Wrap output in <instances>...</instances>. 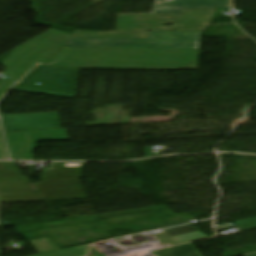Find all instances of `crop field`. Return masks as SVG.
I'll use <instances>...</instances> for the list:
<instances>
[{
  "instance_id": "8a807250",
  "label": "crop field",
  "mask_w": 256,
  "mask_h": 256,
  "mask_svg": "<svg viewBox=\"0 0 256 256\" xmlns=\"http://www.w3.org/2000/svg\"><path fill=\"white\" fill-rule=\"evenodd\" d=\"M199 51L63 48L52 65L72 68L175 69Z\"/></svg>"
},
{
  "instance_id": "ac0d7876",
  "label": "crop field",
  "mask_w": 256,
  "mask_h": 256,
  "mask_svg": "<svg viewBox=\"0 0 256 256\" xmlns=\"http://www.w3.org/2000/svg\"><path fill=\"white\" fill-rule=\"evenodd\" d=\"M216 9L186 10L182 15H118V31L75 30L70 37L146 38L148 30L205 31ZM171 23L172 26H164Z\"/></svg>"
},
{
  "instance_id": "34b2d1b8",
  "label": "crop field",
  "mask_w": 256,
  "mask_h": 256,
  "mask_svg": "<svg viewBox=\"0 0 256 256\" xmlns=\"http://www.w3.org/2000/svg\"><path fill=\"white\" fill-rule=\"evenodd\" d=\"M200 32L149 31L147 39L68 38L63 47L199 50Z\"/></svg>"
},
{
  "instance_id": "412701ff",
  "label": "crop field",
  "mask_w": 256,
  "mask_h": 256,
  "mask_svg": "<svg viewBox=\"0 0 256 256\" xmlns=\"http://www.w3.org/2000/svg\"><path fill=\"white\" fill-rule=\"evenodd\" d=\"M69 35L50 29L15 48L0 63L28 72L38 62L50 63Z\"/></svg>"
},
{
  "instance_id": "f4fd0767",
  "label": "crop field",
  "mask_w": 256,
  "mask_h": 256,
  "mask_svg": "<svg viewBox=\"0 0 256 256\" xmlns=\"http://www.w3.org/2000/svg\"><path fill=\"white\" fill-rule=\"evenodd\" d=\"M77 75L75 69L40 65L13 89L74 98Z\"/></svg>"
},
{
  "instance_id": "dd49c442",
  "label": "crop field",
  "mask_w": 256,
  "mask_h": 256,
  "mask_svg": "<svg viewBox=\"0 0 256 256\" xmlns=\"http://www.w3.org/2000/svg\"><path fill=\"white\" fill-rule=\"evenodd\" d=\"M5 133L12 159L33 160V150L40 140H68L65 129Z\"/></svg>"
},
{
  "instance_id": "e52e79f7",
  "label": "crop field",
  "mask_w": 256,
  "mask_h": 256,
  "mask_svg": "<svg viewBox=\"0 0 256 256\" xmlns=\"http://www.w3.org/2000/svg\"><path fill=\"white\" fill-rule=\"evenodd\" d=\"M5 131L61 128L58 112L1 115Z\"/></svg>"
},
{
  "instance_id": "d8731c3e",
  "label": "crop field",
  "mask_w": 256,
  "mask_h": 256,
  "mask_svg": "<svg viewBox=\"0 0 256 256\" xmlns=\"http://www.w3.org/2000/svg\"><path fill=\"white\" fill-rule=\"evenodd\" d=\"M231 0H168L155 3L152 13H183L190 8H231Z\"/></svg>"
},
{
  "instance_id": "5a996713",
  "label": "crop field",
  "mask_w": 256,
  "mask_h": 256,
  "mask_svg": "<svg viewBox=\"0 0 256 256\" xmlns=\"http://www.w3.org/2000/svg\"><path fill=\"white\" fill-rule=\"evenodd\" d=\"M171 234H173L176 238H178L182 242L208 238L207 236L200 233L199 229L191 227L189 225L180 226L176 228L166 229ZM163 246L178 244L175 240H173L167 233L163 230L152 232L151 233Z\"/></svg>"
},
{
  "instance_id": "3316defc",
  "label": "crop field",
  "mask_w": 256,
  "mask_h": 256,
  "mask_svg": "<svg viewBox=\"0 0 256 256\" xmlns=\"http://www.w3.org/2000/svg\"><path fill=\"white\" fill-rule=\"evenodd\" d=\"M156 256H202L190 243L153 252Z\"/></svg>"
},
{
  "instance_id": "28ad6ade",
  "label": "crop field",
  "mask_w": 256,
  "mask_h": 256,
  "mask_svg": "<svg viewBox=\"0 0 256 256\" xmlns=\"http://www.w3.org/2000/svg\"><path fill=\"white\" fill-rule=\"evenodd\" d=\"M92 244L84 245L80 247L70 248L66 250L41 254L37 256H85Z\"/></svg>"
},
{
  "instance_id": "d1516ede",
  "label": "crop field",
  "mask_w": 256,
  "mask_h": 256,
  "mask_svg": "<svg viewBox=\"0 0 256 256\" xmlns=\"http://www.w3.org/2000/svg\"><path fill=\"white\" fill-rule=\"evenodd\" d=\"M34 248L39 252H47V251H53L58 250L59 248L53 243V241L49 238H41V239H35L29 241Z\"/></svg>"
},
{
  "instance_id": "22f410ed",
  "label": "crop field",
  "mask_w": 256,
  "mask_h": 256,
  "mask_svg": "<svg viewBox=\"0 0 256 256\" xmlns=\"http://www.w3.org/2000/svg\"><path fill=\"white\" fill-rule=\"evenodd\" d=\"M7 75V74H6ZM8 77H10V80H1L0 81V98L2 97V95L12 86L14 85L19 79H21L20 77H16V76H11V75H7Z\"/></svg>"
},
{
  "instance_id": "cbeb9de0",
  "label": "crop field",
  "mask_w": 256,
  "mask_h": 256,
  "mask_svg": "<svg viewBox=\"0 0 256 256\" xmlns=\"http://www.w3.org/2000/svg\"><path fill=\"white\" fill-rule=\"evenodd\" d=\"M235 223L239 226V228L242 231L250 230V229H255L256 228V218L236 221Z\"/></svg>"
},
{
  "instance_id": "5142ce71",
  "label": "crop field",
  "mask_w": 256,
  "mask_h": 256,
  "mask_svg": "<svg viewBox=\"0 0 256 256\" xmlns=\"http://www.w3.org/2000/svg\"><path fill=\"white\" fill-rule=\"evenodd\" d=\"M0 159H7L1 133H0Z\"/></svg>"
},
{
  "instance_id": "d9b57169",
  "label": "crop field",
  "mask_w": 256,
  "mask_h": 256,
  "mask_svg": "<svg viewBox=\"0 0 256 256\" xmlns=\"http://www.w3.org/2000/svg\"><path fill=\"white\" fill-rule=\"evenodd\" d=\"M97 254H98V253L95 251V249L92 248V250H91L89 256H94V255H97Z\"/></svg>"
},
{
  "instance_id": "733c2abd",
  "label": "crop field",
  "mask_w": 256,
  "mask_h": 256,
  "mask_svg": "<svg viewBox=\"0 0 256 256\" xmlns=\"http://www.w3.org/2000/svg\"><path fill=\"white\" fill-rule=\"evenodd\" d=\"M246 256H256V254L246 255Z\"/></svg>"
}]
</instances>
